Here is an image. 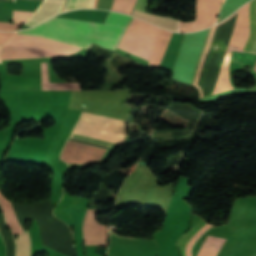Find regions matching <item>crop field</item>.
I'll list each match as a JSON object with an SVG mask.
<instances>
[{"instance_id": "crop-field-1", "label": "crop field", "mask_w": 256, "mask_h": 256, "mask_svg": "<svg viewBox=\"0 0 256 256\" xmlns=\"http://www.w3.org/2000/svg\"><path fill=\"white\" fill-rule=\"evenodd\" d=\"M131 19L132 17L111 12L104 24L52 18L16 33L41 36L87 49L94 42L116 50Z\"/></svg>"}, {"instance_id": "crop-field-2", "label": "crop field", "mask_w": 256, "mask_h": 256, "mask_svg": "<svg viewBox=\"0 0 256 256\" xmlns=\"http://www.w3.org/2000/svg\"><path fill=\"white\" fill-rule=\"evenodd\" d=\"M76 126V125H75ZM127 134L125 122L117 121L89 113L83 112L77 126L74 128L72 135L118 146L123 144ZM70 139L98 145L104 147V144L76 138L70 136ZM99 151L86 149L67 144L63 150L61 159L69 161V159L88 161L97 158Z\"/></svg>"}, {"instance_id": "crop-field-3", "label": "crop field", "mask_w": 256, "mask_h": 256, "mask_svg": "<svg viewBox=\"0 0 256 256\" xmlns=\"http://www.w3.org/2000/svg\"><path fill=\"white\" fill-rule=\"evenodd\" d=\"M1 59L74 55L81 48L41 37L14 34L5 44Z\"/></svg>"}, {"instance_id": "crop-field-4", "label": "crop field", "mask_w": 256, "mask_h": 256, "mask_svg": "<svg viewBox=\"0 0 256 256\" xmlns=\"http://www.w3.org/2000/svg\"><path fill=\"white\" fill-rule=\"evenodd\" d=\"M247 7H248V4L242 6V8H241V12H240V15L238 18L236 29H235L233 39H232V42L230 45L228 57L224 63V67L222 70V74H221V78H220L219 85L217 88V92L232 89V86H231L229 78H228L229 59H230L232 50L238 51L240 46L243 44L244 38L246 36ZM255 35H256V0H252L249 2V8H248V33H247L246 39H245L244 44L241 47L240 51L249 53V51L253 45ZM250 53L256 54V39H255V43H254Z\"/></svg>"}, {"instance_id": "crop-field-5", "label": "crop field", "mask_w": 256, "mask_h": 256, "mask_svg": "<svg viewBox=\"0 0 256 256\" xmlns=\"http://www.w3.org/2000/svg\"><path fill=\"white\" fill-rule=\"evenodd\" d=\"M160 30L158 27L134 18L119 48L149 61Z\"/></svg>"}, {"instance_id": "crop-field-6", "label": "crop field", "mask_w": 256, "mask_h": 256, "mask_svg": "<svg viewBox=\"0 0 256 256\" xmlns=\"http://www.w3.org/2000/svg\"><path fill=\"white\" fill-rule=\"evenodd\" d=\"M222 1L224 0H197L196 19L187 23L180 21L178 32H191L212 26Z\"/></svg>"}, {"instance_id": "crop-field-7", "label": "crop field", "mask_w": 256, "mask_h": 256, "mask_svg": "<svg viewBox=\"0 0 256 256\" xmlns=\"http://www.w3.org/2000/svg\"><path fill=\"white\" fill-rule=\"evenodd\" d=\"M0 205L4 213L7 224L11 227L13 234H20L22 231L20 225L18 224L13 210L10 206L9 200L4 198L0 193ZM16 242V252L17 256H30V238L27 231L20 234L15 240Z\"/></svg>"}, {"instance_id": "crop-field-8", "label": "crop field", "mask_w": 256, "mask_h": 256, "mask_svg": "<svg viewBox=\"0 0 256 256\" xmlns=\"http://www.w3.org/2000/svg\"><path fill=\"white\" fill-rule=\"evenodd\" d=\"M97 210H88L84 223V243L85 245H107V227L96 222Z\"/></svg>"}, {"instance_id": "crop-field-9", "label": "crop field", "mask_w": 256, "mask_h": 256, "mask_svg": "<svg viewBox=\"0 0 256 256\" xmlns=\"http://www.w3.org/2000/svg\"><path fill=\"white\" fill-rule=\"evenodd\" d=\"M211 225L206 224L202 219L187 231L178 240L177 245L182 256H191L190 248L194 241Z\"/></svg>"}, {"instance_id": "crop-field-10", "label": "crop field", "mask_w": 256, "mask_h": 256, "mask_svg": "<svg viewBox=\"0 0 256 256\" xmlns=\"http://www.w3.org/2000/svg\"><path fill=\"white\" fill-rule=\"evenodd\" d=\"M171 34H172L171 32L161 30L159 40L156 44V47L154 49V52L152 54L149 64L156 65V66L159 65V63L163 57V54L165 52V49H166V46L168 44Z\"/></svg>"}, {"instance_id": "crop-field-11", "label": "crop field", "mask_w": 256, "mask_h": 256, "mask_svg": "<svg viewBox=\"0 0 256 256\" xmlns=\"http://www.w3.org/2000/svg\"><path fill=\"white\" fill-rule=\"evenodd\" d=\"M214 239H215V237L208 235L207 238L205 239L204 243H203V246H202L199 254L197 256H206V254H207L210 246L212 245ZM224 241H225V239H221L219 237H216V239H215L212 247L210 248L207 256H215Z\"/></svg>"}, {"instance_id": "crop-field-12", "label": "crop field", "mask_w": 256, "mask_h": 256, "mask_svg": "<svg viewBox=\"0 0 256 256\" xmlns=\"http://www.w3.org/2000/svg\"><path fill=\"white\" fill-rule=\"evenodd\" d=\"M135 3L136 0H114L111 10L130 15Z\"/></svg>"}, {"instance_id": "crop-field-13", "label": "crop field", "mask_w": 256, "mask_h": 256, "mask_svg": "<svg viewBox=\"0 0 256 256\" xmlns=\"http://www.w3.org/2000/svg\"><path fill=\"white\" fill-rule=\"evenodd\" d=\"M21 24H14L8 22H0V30H16Z\"/></svg>"}, {"instance_id": "crop-field-14", "label": "crop field", "mask_w": 256, "mask_h": 256, "mask_svg": "<svg viewBox=\"0 0 256 256\" xmlns=\"http://www.w3.org/2000/svg\"><path fill=\"white\" fill-rule=\"evenodd\" d=\"M14 32H0V44L4 43Z\"/></svg>"}, {"instance_id": "crop-field-15", "label": "crop field", "mask_w": 256, "mask_h": 256, "mask_svg": "<svg viewBox=\"0 0 256 256\" xmlns=\"http://www.w3.org/2000/svg\"><path fill=\"white\" fill-rule=\"evenodd\" d=\"M0 48H1V46H0ZM1 63V62H0Z\"/></svg>"}]
</instances>
